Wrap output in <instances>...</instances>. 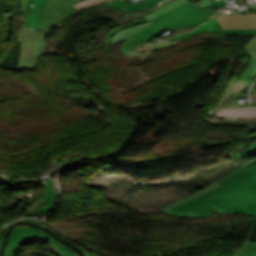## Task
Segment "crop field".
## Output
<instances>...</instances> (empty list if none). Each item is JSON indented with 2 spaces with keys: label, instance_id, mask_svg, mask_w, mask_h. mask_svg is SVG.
Returning <instances> with one entry per match:
<instances>
[{
  "label": "crop field",
  "instance_id": "4177f3b9",
  "mask_svg": "<svg viewBox=\"0 0 256 256\" xmlns=\"http://www.w3.org/2000/svg\"><path fill=\"white\" fill-rule=\"evenodd\" d=\"M31 2L32 0H26V11H25V22H24V26L26 27H29L28 21H29V14L31 11Z\"/></svg>",
  "mask_w": 256,
  "mask_h": 256
},
{
  "label": "crop field",
  "instance_id": "5142ce71",
  "mask_svg": "<svg viewBox=\"0 0 256 256\" xmlns=\"http://www.w3.org/2000/svg\"><path fill=\"white\" fill-rule=\"evenodd\" d=\"M217 212H231V213L244 212V213H248L256 216V199L250 200L244 203H240V204L231 205L224 209L218 210Z\"/></svg>",
  "mask_w": 256,
  "mask_h": 256
},
{
  "label": "crop field",
  "instance_id": "d3111659",
  "mask_svg": "<svg viewBox=\"0 0 256 256\" xmlns=\"http://www.w3.org/2000/svg\"><path fill=\"white\" fill-rule=\"evenodd\" d=\"M209 4H211V3L208 0H201V1L197 2V3H195V5L197 7H199L200 9L206 7Z\"/></svg>",
  "mask_w": 256,
  "mask_h": 256
},
{
  "label": "crop field",
  "instance_id": "bd1437ed",
  "mask_svg": "<svg viewBox=\"0 0 256 256\" xmlns=\"http://www.w3.org/2000/svg\"><path fill=\"white\" fill-rule=\"evenodd\" d=\"M22 222H35V223H38V222H36V221H31V220H25V221H22ZM17 223V222H16ZM15 224V223H14ZM13 225V224H12ZM10 227V226H9ZM8 227V228H9ZM8 228H6L5 229V231L0 235V246H2V242H3V238H4V235H5V232L7 231V229Z\"/></svg>",
  "mask_w": 256,
  "mask_h": 256
},
{
  "label": "crop field",
  "instance_id": "dd49c442",
  "mask_svg": "<svg viewBox=\"0 0 256 256\" xmlns=\"http://www.w3.org/2000/svg\"><path fill=\"white\" fill-rule=\"evenodd\" d=\"M161 32L155 29L153 26H150L133 36L129 37L128 40L122 44L121 52L125 55L131 53V51L135 50L139 46L153 40L156 36H158Z\"/></svg>",
  "mask_w": 256,
  "mask_h": 256
},
{
  "label": "crop field",
  "instance_id": "730fd06b",
  "mask_svg": "<svg viewBox=\"0 0 256 256\" xmlns=\"http://www.w3.org/2000/svg\"><path fill=\"white\" fill-rule=\"evenodd\" d=\"M225 1H226V0H217V1H215L214 3H212L211 5H209L208 7L204 8V9H202V10H203L205 13L209 14L210 16H212V15H214V13L210 12V11H209V8L212 7V6H214V5H217L218 7H220V6L224 5V4H226Z\"/></svg>",
  "mask_w": 256,
  "mask_h": 256
},
{
  "label": "crop field",
  "instance_id": "eef30255",
  "mask_svg": "<svg viewBox=\"0 0 256 256\" xmlns=\"http://www.w3.org/2000/svg\"><path fill=\"white\" fill-rule=\"evenodd\" d=\"M107 1H109V0H96V1L91 2V3H88V4H86V5L77 7V9H78L79 11H81V10H84V9H86V8L93 7V6H96V5L100 4V3H104V2H107Z\"/></svg>",
  "mask_w": 256,
  "mask_h": 256
},
{
  "label": "crop field",
  "instance_id": "028f5c9d",
  "mask_svg": "<svg viewBox=\"0 0 256 256\" xmlns=\"http://www.w3.org/2000/svg\"><path fill=\"white\" fill-rule=\"evenodd\" d=\"M252 91H253L254 96L256 97V84H255V86H254Z\"/></svg>",
  "mask_w": 256,
  "mask_h": 256
},
{
  "label": "crop field",
  "instance_id": "d32e631a",
  "mask_svg": "<svg viewBox=\"0 0 256 256\" xmlns=\"http://www.w3.org/2000/svg\"><path fill=\"white\" fill-rule=\"evenodd\" d=\"M21 2H22V13H23L22 22H23L24 21V11H25V0H21Z\"/></svg>",
  "mask_w": 256,
  "mask_h": 256
},
{
  "label": "crop field",
  "instance_id": "5866460e",
  "mask_svg": "<svg viewBox=\"0 0 256 256\" xmlns=\"http://www.w3.org/2000/svg\"><path fill=\"white\" fill-rule=\"evenodd\" d=\"M91 1H93V0H85V1H83V2H81V3H79V4H77V5H75V7L80 6V5H83V4L88 3V2H91Z\"/></svg>",
  "mask_w": 256,
  "mask_h": 256
},
{
  "label": "crop field",
  "instance_id": "bc2a9ffb",
  "mask_svg": "<svg viewBox=\"0 0 256 256\" xmlns=\"http://www.w3.org/2000/svg\"><path fill=\"white\" fill-rule=\"evenodd\" d=\"M217 186H219V184H217L216 182L212 183L211 186H209V187H207L205 189H202V190H200L198 192H195V193H193L191 195H188V196H186V197H184L182 199H179V200L174 201V202H172L170 204H167L164 208L161 209L160 212L163 213V212H165V211H167V210H169V209H171V208H173V207H175V206H177V205H179V204H181L183 202H186V201H188V200H190L192 198H195V197H197V196H199V195H201V194H203V193H205V192H207V191H209V190H211V189H213V188H215Z\"/></svg>",
  "mask_w": 256,
  "mask_h": 256
},
{
  "label": "crop field",
  "instance_id": "22f410ed",
  "mask_svg": "<svg viewBox=\"0 0 256 256\" xmlns=\"http://www.w3.org/2000/svg\"><path fill=\"white\" fill-rule=\"evenodd\" d=\"M161 1H163V0H147V1L134 3V4H131V5L125 6L121 0H116V1H113L109 4H106L104 6L114 7L116 9L122 10V11H134V10H138V9L148 7L150 5L157 4Z\"/></svg>",
  "mask_w": 256,
  "mask_h": 256
},
{
  "label": "crop field",
  "instance_id": "3316defc",
  "mask_svg": "<svg viewBox=\"0 0 256 256\" xmlns=\"http://www.w3.org/2000/svg\"><path fill=\"white\" fill-rule=\"evenodd\" d=\"M215 115L223 117V118H232V119L256 118V106L223 109V110L215 113Z\"/></svg>",
  "mask_w": 256,
  "mask_h": 256
},
{
  "label": "crop field",
  "instance_id": "1d83c4d3",
  "mask_svg": "<svg viewBox=\"0 0 256 256\" xmlns=\"http://www.w3.org/2000/svg\"><path fill=\"white\" fill-rule=\"evenodd\" d=\"M76 245H77V244H76ZM77 246H79V245H77ZM79 247L83 250L85 256H98V255H96V254H94V253H92V252H90V251H88V250L82 248L81 246H79Z\"/></svg>",
  "mask_w": 256,
  "mask_h": 256
},
{
  "label": "crop field",
  "instance_id": "b80d0937",
  "mask_svg": "<svg viewBox=\"0 0 256 256\" xmlns=\"http://www.w3.org/2000/svg\"><path fill=\"white\" fill-rule=\"evenodd\" d=\"M0 249H1V247H0Z\"/></svg>",
  "mask_w": 256,
  "mask_h": 256
},
{
  "label": "crop field",
  "instance_id": "214f88e0",
  "mask_svg": "<svg viewBox=\"0 0 256 256\" xmlns=\"http://www.w3.org/2000/svg\"><path fill=\"white\" fill-rule=\"evenodd\" d=\"M185 2H187V1L186 0H176L175 2L165 6V7L161 8V9L151 13V14L145 15V16H146L147 19H149L151 21L152 19L158 17L159 15H162V14H164V13H166V12L176 8V7H178V6L182 5V4H184Z\"/></svg>",
  "mask_w": 256,
  "mask_h": 256
},
{
  "label": "crop field",
  "instance_id": "8a807250",
  "mask_svg": "<svg viewBox=\"0 0 256 256\" xmlns=\"http://www.w3.org/2000/svg\"><path fill=\"white\" fill-rule=\"evenodd\" d=\"M256 163V158L230 175L216 181L221 186L165 213L196 218L210 217L212 212L230 204L256 197V177L245 169Z\"/></svg>",
  "mask_w": 256,
  "mask_h": 256
},
{
  "label": "crop field",
  "instance_id": "120bbe31",
  "mask_svg": "<svg viewBox=\"0 0 256 256\" xmlns=\"http://www.w3.org/2000/svg\"><path fill=\"white\" fill-rule=\"evenodd\" d=\"M246 170H248L250 173H252L253 175L256 176V164L253 165V166H251V167H249V168L246 169Z\"/></svg>",
  "mask_w": 256,
  "mask_h": 256
},
{
  "label": "crop field",
  "instance_id": "750c4746",
  "mask_svg": "<svg viewBox=\"0 0 256 256\" xmlns=\"http://www.w3.org/2000/svg\"><path fill=\"white\" fill-rule=\"evenodd\" d=\"M33 7H32V12H31V15H30V21H29V26L31 28H33V16H34V9H35V0H33Z\"/></svg>",
  "mask_w": 256,
  "mask_h": 256
},
{
  "label": "crop field",
  "instance_id": "d9b57169",
  "mask_svg": "<svg viewBox=\"0 0 256 256\" xmlns=\"http://www.w3.org/2000/svg\"><path fill=\"white\" fill-rule=\"evenodd\" d=\"M151 25V22H147V23H143V24H139V25H135L132 27H128V28H124L120 31H118L112 41H111V45H114L116 42H122L124 41L128 36L142 30L143 28L147 27Z\"/></svg>",
  "mask_w": 256,
  "mask_h": 256
},
{
  "label": "crop field",
  "instance_id": "e1f06a70",
  "mask_svg": "<svg viewBox=\"0 0 256 256\" xmlns=\"http://www.w3.org/2000/svg\"><path fill=\"white\" fill-rule=\"evenodd\" d=\"M252 128H251V130H256V126L254 125V124H249Z\"/></svg>",
  "mask_w": 256,
  "mask_h": 256
},
{
  "label": "crop field",
  "instance_id": "4a817a6b",
  "mask_svg": "<svg viewBox=\"0 0 256 256\" xmlns=\"http://www.w3.org/2000/svg\"><path fill=\"white\" fill-rule=\"evenodd\" d=\"M249 138L250 137H248V139L246 140V143L243 144V147L233 152V155L230 156L231 160L243 158L256 153V142L248 143Z\"/></svg>",
  "mask_w": 256,
  "mask_h": 256
},
{
  "label": "crop field",
  "instance_id": "28ad6ade",
  "mask_svg": "<svg viewBox=\"0 0 256 256\" xmlns=\"http://www.w3.org/2000/svg\"><path fill=\"white\" fill-rule=\"evenodd\" d=\"M43 187L45 190L43 203L31 215H45L50 212L53 206L56 194L52 189V185L48 184Z\"/></svg>",
  "mask_w": 256,
  "mask_h": 256
},
{
  "label": "crop field",
  "instance_id": "d8731c3e",
  "mask_svg": "<svg viewBox=\"0 0 256 256\" xmlns=\"http://www.w3.org/2000/svg\"><path fill=\"white\" fill-rule=\"evenodd\" d=\"M113 12H116L118 15L121 16H126V17H130L133 16L132 18H126L124 20H120L117 21L118 24L116 25H111L110 27H112L113 29L109 31V33L107 34L106 38H105V43L106 46H108L109 41L111 40L112 36L121 28L124 27H128V26H132L135 24H139V23H143V22H147L149 20H147L143 15H141L139 12L134 11V12H121L118 11L116 9L113 8L112 10Z\"/></svg>",
  "mask_w": 256,
  "mask_h": 256
},
{
  "label": "crop field",
  "instance_id": "f4fd0767",
  "mask_svg": "<svg viewBox=\"0 0 256 256\" xmlns=\"http://www.w3.org/2000/svg\"><path fill=\"white\" fill-rule=\"evenodd\" d=\"M198 9L191 1L188 3L180 6L179 8L162 15L154 20H152V24L155 28L158 30L164 32L167 29H169L173 24L180 21L183 18L188 17L189 15L199 11Z\"/></svg>",
  "mask_w": 256,
  "mask_h": 256
},
{
  "label": "crop field",
  "instance_id": "00972430",
  "mask_svg": "<svg viewBox=\"0 0 256 256\" xmlns=\"http://www.w3.org/2000/svg\"><path fill=\"white\" fill-rule=\"evenodd\" d=\"M219 34H256V29H230Z\"/></svg>",
  "mask_w": 256,
  "mask_h": 256
},
{
  "label": "crop field",
  "instance_id": "e52e79f7",
  "mask_svg": "<svg viewBox=\"0 0 256 256\" xmlns=\"http://www.w3.org/2000/svg\"><path fill=\"white\" fill-rule=\"evenodd\" d=\"M223 29L256 28V14L215 17Z\"/></svg>",
  "mask_w": 256,
  "mask_h": 256
},
{
  "label": "crop field",
  "instance_id": "ac0d7876",
  "mask_svg": "<svg viewBox=\"0 0 256 256\" xmlns=\"http://www.w3.org/2000/svg\"><path fill=\"white\" fill-rule=\"evenodd\" d=\"M34 239H44L49 241L50 251L55 253L57 256H76V253L73 252L70 248L64 246L49 234H46L43 230L38 228H28L24 226H19L14 229L9 237V244L6 249V256H14L17 247L22 242H27Z\"/></svg>",
  "mask_w": 256,
  "mask_h": 256
},
{
  "label": "crop field",
  "instance_id": "ae1a2a85",
  "mask_svg": "<svg viewBox=\"0 0 256 256\" xmlns=\"http://www.w3.org/2000/svg\"><path fill=\"white\" fill-rule=\"evenodd\" d=\"M242 93H243V92H242ZM242 93L236 94V95H234L233 97H231V98L229 99V101L227 102V104H226V108H227V107L236 106V103H235V101H234V98L240 96Z\"/></svg>",
  "mask_w": 256,
  "mask_h": 256
},
{
  "label": "crop field",
  "instance_id": "a9b5d70f",
  "mask_svg": "<svg viewBox=\"0 0 256 256\" xmlns=\"http://www.w3.org/2000/svg\"><path fill=\"white\" fill-rule=\"evenodd\" d=\"M0 182L7 185L18 186L29 182V180H14L0 176Z\"/></svg>",
  "mask_w": 256,
  "mask_h": 256
},
{
  "label": "crop field",
  "instance_id": "92a150f3",
  "mask_svg": "<svg viewBox=\"0 0 256 256\" xmlns=\"http://www.w3.org/2000/svg\"><path fill=\"white\" fill-rule=\"evenodd\" d=\"M234 256H256V242L248 241Z\"/></svg>",
  "mask_w": 256,
  "mask_h": 256
},
{
  "label": "crop field",
  "instance_id": "34b2d1b8",
  "mask_svg": "<svg viewBox=\"0 0 256 256\" xmlns=\"http://www.w3.org/2000/svg\"><path fill=\"white\" fill-rule=\"evenodd\" d=\"M45 31H33L24 28L17 37L21 41V56L16 70L21 71L27 67H37L45 44Z\"/></svg>",
  "mask_w": 256,
  "mask_h": 256
},
{
  "label": "crop field",
  "instance_id": "d1516ede",
  "mask_svg": "<svg viewBox=\"0 0 256 256\" xmlns=\"http://www.w3.org/2000/svg\"><path fill=\"white\" fill-rule=\"evenodd\" d=\"M210 16L205 14L202 10L189 16L186 19L181 20L179 23L175 24L171 27V29L175 28H183V27H191L195 28L202 24L206 19H208Z\"/></svg>",
  "mask_w": 256,
  "mask_h": 256
},
{
  "label": "crop field",
  "instance_id": "0bd39190",
  "mask_svg": "<svg viewBox=\"0 0 256 256\" xmlns=\"http://www.w3.org/2000/svg\"><path fill=\"white\" fill-rule=\"evenodd\" d=\"M193 3H195V2H197V1H199V0H191Z\"/></svg>",
  "mask_w": 256,
  "mask_h": 256
},
{
  "label": "crop field",
  "instance_id": "5a996713",
  "mask_svg": "<svg viewBox=\"0 0 256 256\" xmlns=\"http://www.w3.org/2000/svg\"><path fill=\"white\" fill-rule=\"evenodd\" d=\"M243 47L251 62L242 80L253 82L256 79V35Z\"/></svg>",
  "mask_w": 256,
  "mask_h": 256
},
{
  "label": "crop field",
  "instance_id": "412701ff",
  "mask_svg": "<svg viewBox=\"0 0 256 256\" xmlns=\"http://www.w3.org/2000/svg\"><path fill=\"white\" fill-rule=\"evenodd\" d=\"M80 0H47L44 11V21L38 24V29L45 30L54 27L71 15L79 12L73 5Z\"/></svg>",
  "mask_w": 256,
  "mask_h": 256
},
{
  "label": "crop field",
  "instance_id": "733c2abd",
  "mask_svg": "<svg viewBox=\"0 0 256 256\" xmlns=\"http://www.w3.org/2000/svg\"><path fill=\"white\" fill-rule=\"evenodd\" d=\"M250 82L240 81L237 83L231 82L228 92L225 95V98L223 99L222 103L216 108V111H219L225 107L226 102L228 99L239 92L246 91L247 87L250 85Z\"/></svg>",
  "mask_w": 256,
  "mask_h": 256
},
{
  "label": "crop field",
  "instance_id": "cbeb9de0",
  "mask_svg": "<svg viewBox=\"0 0 256 256\" xmlns=\"http://www.w3.org/2000/svg\"><path fill=\"white\" fill-rule=\"evenodd\" d=\"M222 31L220 24L218 21H216L213 17L209 19L205 24H203L201 27L196 29L195 31L189 33V34H181L175 37H172L173 39H183V38H188L190 36L196 35L198 33L202 32H219Z\"/></svg>",
  "mask_w": 256,
  "mask_h": 256
},
{
  "label": "crop field",
  "instance_id": "c035e120",
  "mask_svg": "<svg viewBox=\"0 0 256 256\" xmlns=\"http://www.w3.org/2000/svg\"><path fill=\"white\" fill-rule=\"evenodd\" d=\"M82 1V0H81Z\"/></svg>",
  "mask_w": 256,
  "mask_h": 256
},
{
  "label": "crop field",
  "instance_id": "dafd665d",
  "mask_svg": "<svg viewBox=\"0 0 256 256\" xmlns=\"http://www.w3.org/2000/svg\"><path fill=\"white\" fill-rule=\"evenodd\" d=\"M46 5V0H36V10L34 16V29H37V23L43 21V10Z\"/></svg>",
  "mask_w": 256,
  "mask_h": 256
}]
</instances>
